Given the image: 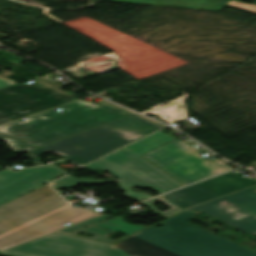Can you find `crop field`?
Here are the masks:
<instances>
[{
  "mask_svg": "<svg viewBox=\"0 0 256 256\" xmlns=\"http://www.w3.org/2000/svg\"><path fill=\"white\" fill-rule=\"evenodd\" d=\"M173 139L175 138L159 131L84 167L85 169L109 171L113 176L120 178L119 180L77 179L68 175L56 182L53 181L54 183L50 185L55 189H60L75 187L76 183L117 182L119 189L125 191L122 196L139 202L153 196L131 191L130 187L151 188L160 194L169 192L183 185L140 155Z\"/></svg>",
  "mask_w": 256,
  "mask_h": 256,
  "instance_id": "3",
  "label": "crop field"
},
{
  "mask_svg": "<svg viewBox=\"0 0 256 256\" xmlns=\"http://www.w3.org/2000/svg\"><path fill=\"white\" fill-rule=\"evenodd\" d=\"M11 171H13V170H9V169L2 170V171H0V176L6 174L8 172H11Z\"/></svg>",
  "mask_w": 256,
  "mask_h": 256,
  "instance_id": "18",
  "label": "crop field"
},
{
  "mask_svg": "<svg viewBox=\"0 0 256 256\" xmlns=\"http://www.w3.org/2000/svg\"><path fill=\"white\" fill-rule=\"evenodd\" d=\"M0 140L6 141L15 152H27L37 147L0 132Z\"/></svg>",
  "mask_w": 256,
  "mask_h": 256,
  "instance_id": "14",
  "label": "crop field"
},
{
  "mask_svg": "<svg viewBox=\"0 0 256 256\" xmlns=\"http://www.w3.org/2000/svg\"><path fill=\"white\" fill-rule=\"evenodd\" d=\"M165 125L132 113L109 123L87 130L65 140L31 152L36 165L38 157L55 152L78 163L87 164L123 145L156 131Z\"/></svg>",
  "mask_w": 256,
  "mask_h": 256,
  "instance_id": "5",
  "label": "crop field"
},
{
  "mask_svg": "<svg viewBox=\"0 0 256 256\" xmlns=\"http://www.w3.org/2000/svg\"><path fill=\"white\" fill-rule=\"evenodd\" d=\"M227 5L235 6L238 8H242L245 10L253 11L256 12V5H251V4H244L240 2H235V1H228Z\"/></svg>",
  "mask_w": 256,
  "mask_h": 256,
  "instance_id": "15",
  "label": "crop field"
},
{
  "mask_svg": "<svg viewBox=\"0 0 256 256\" xmlns=\"http://www.w3.org/2000/svg\"><path fill=\"white\" fill-rule=\"evenodd\" d=\"M248 234H256V186L191 208Z\"/></svg>",
  "mask_w": 256,
  "mask_h": 256,
  "instance_id": "8",
  "label": "crop field"
},
{
  "mask_svg": "<svg viewBox=\"0 0 256 256\" xmlns=\"http://www.w3.org/2000/svg\"><path fill=\"white\" fill-rule=\"evenodd\" d=\"M28 117L0 127V131L38 146L93 128L132 113V111L101 100L97 103L82 100Z\"/></svg>",
  "mask_w": 256,
  "mask_h": 256,
  "instance_id": "4",
  "label": "crop field"
},
{
  "mask_svg": "<svg viewBox=\"0 0 256 256\" xmlns=\"http://www.w3.org/2000/svg\"><path fill=\"white\" fill-rule=\"evenodd\" d=\"M34 81L0 90V124L78 99L60 90V84L45 78Z\"/></svg>",
  "mask_w": 256,
  "mask_h": 256,
  "instance_id": "6",
  "label": "crop field"
},
{
  "mask_svg": "<svg viewBox=\"0 0 256 256\" xmlns=\"http://www.w3.org/2000/svg\"><path fill=\"white\" fill-rule=\"evenodd\" d=\"M16 82L12 81L11 79L9 78H1L0 77V89L1 88H4L6 86H9V85H12V84H15Z\"/></svg>",
  "mask_w": 256,
  "mask_h": 256,
  "instance_id": "16",
  "label": "crop field"
},
{
  "mask_svg": "<svg viewBox=\"0 0 256 256\" xmlns=\"http://www.w3.org/2000/svg\"><path fill=\"white\" fill-rule=\"evenodd\" d=\"M185 211L116 245L52 233L4 250L18 256H256V252L187 224Z\"/></svg>",
  "mask_w": 256,
  "mask_h": 256,
  "instance_id": "1",
  "label": "crop field"
},
{
  "mask_svg": "<svg viewBox=\"0 0 256 256\" xmlns=\"http://www.w3.org/2000/svg\"><path fill=\"white\" fill-rule=\"evenodd\" d=\"M204 152L175 139L143 156L185 185L232 169L219 160L203 159L199 154Z\"/></svg>",
  "mask_w": 256,
  "mask_h": 256,
  "instance_id": "7",
  "label": "crop field"
},
{
  "mask_svg": "<svg viewBox=\"0 0 256 256\" xmlns=\"http://www.w3.org/2000/svg\"><path fill=\"white\" fill-rule=\"evenodd\" d=\"M112 217L113 216L103 215V216H100L98 218L92 219L90 221H87V222H84L81 224L78 223L79 225L62 229L56 233L75 236L74 234H76V233L86 231L88 233L95 235V237H93V238L81 237V238H86V239H91V240H96V241H101V242L112 244L114 242H117V241L123 239V238H121L119 240H114V239L107 238L109 235H111L112 233H114L116 231L129 236L137 231H140V230L146 228L145 226H137V225H131V224L127 223L123 216L107 220ZM105 220H107V221H105ZM100 221H104V222L101 223ZM92 224H94V225L91 226ZM85 226H87V228H84ZM76 237H79V236H76Z\"/></svg>",
  "mask_w": 256,
  "mask_h": 256,
  "instance_id": "11",
  "label": "crop field"
},
{
  "mask_svg": "<svg viewBox=\"0 0 256 256\" xmlns=\"http://www.w3.org/2000/svg\"><path fill=\"white\" fill-rule=\"evenodd\" d=\"M98 212L69 205L48 185L0 206V251L98 217Z\"/></svg>",
  "mask_w": 256,
  "mask_h": 256,
  "instance_id": "2",
  "label": "crop field"
},
{
  "mask_svg": "<svg viewBox=\"0 0 256 256\" xmlns=\"http://www.w3.org/2000/svg\"><path fill=\"white\" fill-rule=\"evenodd\" d=\"M180 8L222 10L228 0H112Z\"/></svg>",
  "mask_w": 256,
  "mask_h": 256,
  "instance_id": "12",
  "label": "crop field"
},
{
  "mask_svg": "<svg viewBox=\"0 0 256 256\" xmlns=\"http://www.w3.org/2000/svg\"><path fill=\"white\" fill-rule=\"evenodd\" d=\"M68 173L52 164L26 168L0 177V204Z\"/></svg>",
  "mask_w": 256,
  "mask_h": 256,
  "instance_id": "10",
  "label": "crop field"
},
{
  "mask_svg": "<svg viewBox=\"0 0 256 256\" xmlns=\"http://www.w3.org/2000/svg\"><path fill=\"white\" fill-rule=\"evenodd\" d=\"M254 3H256V1Z\"/></svg>",
  "mask_w": 256,
  "mask_h": 256,
  "instance_id": "20",
  "label": "crop field"
},
{
  "mask_svg": "<svg viewBox=\"0 0 256 256\" xmlns=\"http://www.w3.org/2000/svg\"><path fill=\"white\" fill-rule=\"evenodd\" d=\"M255 184L256 182L250 179L228 172L165 194L163 197L184 210L191 205L201 204Z\"/></svg>",
  "mask_w": 256,
  "mask_h": 256,
  "instance_id": "9",
  "label": "crop field"
},
{
  "mask_svg": "<svg viewBox=\"0 0 256 256\" xmlns=\"http://www.w3.org/2000/svg\"><path fill=\"white\" fill-rule=\"evenodd\" d=\"M163 201L165 202L166 204L170 205V209L165 211V212H162L160 210H157L155 209L154 207V203L157 202V201ZM143 205H145L146 207L150 208L151 210L157 212L158 214L164 216V217H170L180 211H182V209H180L179 207H177L176 205H174L173 203L169 202L168 200H166L165 198H163L162 196L161 197H158V198H155V199H152V200H148V201H145L143 203H141Z\"/></svg>",
  "mask_w": 256,
  "mask_h": 256,
  "instance_id": "13",
  "label": "crop field"
},
{
  "mask_svg": "<svg viewBox=\"0 0 256 256\" xmlns=\"http://www.w3.org/2000/svg\"><path fill=\"white\" fill-rule=\"evenodd\" d=\"M12 74H14V73L5 70V71H3V72L0 73V76H1V77H8V76H10V75H12Z\"/></svg>",
  "mask_w": 256,
  "mask_h": 256,
  "instance_id": "17",
  "label": "crop field"
},
{
  "mask_svg": "<svg viewBox=\"0 0 256 256\" xmlns=\"http://www.w3.org/2000/svg\"><path fill=\"white\" fill-rule=\"evenodd\" d=\"M1 254V253H0ZM1 255H5V256H12V255H7V254H1Z\"/></svg>",
  "mask_w": 256,
  "mask_h": 256,
  "instance_id": "19",
  "label": "crop field"
}]
</instances>
